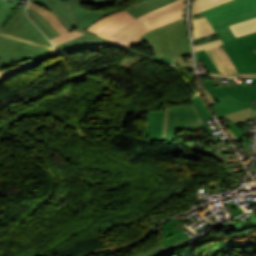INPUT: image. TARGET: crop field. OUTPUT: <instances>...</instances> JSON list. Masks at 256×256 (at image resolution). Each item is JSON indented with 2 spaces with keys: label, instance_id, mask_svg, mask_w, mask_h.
Returning a JSON list of instances; mask_svg holds the SVG:
<instances>
[{
  "label": "crop field",
  "instance_id": "obj_1",
  "mask_svg": "<svg viewBox=\"0 0 256 256\" xmlns=\"http://www.w3.org/2000/svg\"><path fill=\"white\" fill-rule=\"evenodd\" d=\"M26 4L27 1L0 33V67L56 51L26 16Z\"/></svg>",
  "mask_w": 256,
  "mask_h": 256
},
{
  "label": "crop field",
  "instance_id": "obj_2",
  "mask_svg": "<svg viewBox=\"0 0 256 256\" xmlns=\"http://www.w3.org/2000/svg\"><path fill=\"white\" fill-rule=\"evenodd\" d=\"M56 15L70 31L77 29L89 33L85 29L107 15L123 10L117 8L104 11H88L81 7V3L104 5L114 0H32ZM67 4V6H65ZM66 28V29H67Z\"/></svg>",
  "mask_w": 256,
  "mask_h": 256
},
{
  "label": "crop field",
  "instance_id": "obj_3",
  "mask_svg": "<svg viewBox=\"0 0 256 256\" xmlns=\"http://www.w3.org/2000/svg\"><path fill=\"white\" fill-rule=\"evenodd\" d=\"M152 48L154 55L173 58L191 53L184 18L140 36Z\"/></svg>",
  "mask_w": 256,
  "mask_h": 256
},
{
  "label": "crop field",
  "instance_id": "obj_4",
  "mask_svg": "<svg viewBox=\"0 0 256 256\" xmlns=\"http://www.w3.org/2000/svg\"><path fill=\"white\" fill-rule=\"evenodd\" d=\"M202 13L225 44L236 40L229 25L256 18V0H240L219 8L215 6Z\"/></svg>",
  "mask_w": 256,
  "mask_h": 256
},
{
  "label": "crop field",
  "instance_id": "obj_5",
  "mask_svg": "<svg viewBox=\"0 0 256 256\" xmlns=\"http://www.w3.org/2000/svg\"><path fill=\"white\" fill-rule=\"evenodd\" d=\"M232 59L238 73L256 72V33L238 37V40L222 45Z\"/></svg>",
  "mask_w": 256,
  "mask_h": 256
},
{
  "label": "crop field",
  "instance_id": "obj_6",
  "mask_svg": "<svg viewBox=\"0 0 256 256\" xmlns=\"http://www.w3.org/2000/svg\"><path fill=\"white\" fill-rule=\"evenodd\" d=\"M205 124L194 104L169 108L166 140H176L177 130H196Z\"/></svg>",
  "mask_w": 256,
  "mask_h": 256
},
{
  "label": "crop field",
  "instance_id": "obj_7",
  "mask_svg": "<svg viewBox=\"0 0 256 256\" xmlns=\"http://www.w3.org/2000/svg\"><path fill=\"white\" fill-rule=\"evenodd\" d=\"M185 0H177L142 17L149 21V26L154 29L184 17L183 5Z\"/></svg>",
  "mask_w": 256,
  "mask_h": 256
},
{
  "label": "crop field",
  "instance_id": "obj_8",
  "mask_svg": "<svg viewBox=\"0 0 256 256\" xmlns=\"http://www.w3.org/2000/svg\"><path fill=\"white\" fill-rule=\"evenodd\" d=\"M133 19L135 18L123 10L101 19L90 26L87 30L106 39Z\"/></svg>",
  "mask_w": 256,
  "mask_h": 256
},
{
  "label": "crop field",
  "instance_id": "obj_9",
  "mask_svg": "<svg viewBox=\"0 0 256 256\" xmlns=\"http://www.w3.org/2000/svg\"><path fill=\"white\" fill-rule=\"evenodd\" d=\"M252 79L255 86L214 88L211 81L204 82L203 84L216 100L230 94L240 101L251 102L256 100V77Z\"/></svg>",
  "mask_w": 256,
  "mask_h": 256
},
{
  "label": "crop field",
  "instance_id": "obj_10",
  "mask_svg": "<svg viewBox=\"0 0 256 256\" xmlns=\"http://www.w3.org/2000/svg\"><path fill=\"white\" fill-rule=\"evenodd\" d=\"M147 22L142 17H139L128 25L117 31L115 34L110 36L107 40H110L122 47L129 44L131 41L139 37L140 35L148 32L151 28L147 25Z\"/></svg>",
  "mask_w": 256,
  "mask_h": 256
},
{
  "label": "crop field",
  "instance_id": "obj_11",
  "mask_svg": "<svg viewBox=\"0 0 256 256\" xmlns=\"http://www.w3.org/2000/svg\"><path fill=\"white\" fill-rule=\"evenodd\" d=\"M207 53L210 55L221 74H215L220 76H234V77H249L256 76V73L250 74H238L231 59L225 53L221 45L207 49ZM212 74V73H210Z\"/></svg>",
  "mask_w": 256,
  "mask_h": 256
},
{
  "label": "crop field",
  "instance_id": "obj_12",
  "mask_svg": "<svg viewBox=\"0 0 256 256\" xmlns=\"http://www.w3.org/2000/svg\"><path fill=\"white\" fill-rule=\"evenodd\" d=\"M103 45H115L114 43L107 41L99 36L92 33L85 34L76 39L66 41L56 48L60 51L76 50L90 47H98Z\"/></svg>",
  "mask_w": 256,
  "mask_h": 256
},
{
  "label": "crop field",
  "instance_id": "obj_13",
  "mask_svg": "<svg viewBox=\"0 0 256 256\" xmlns=\"http://www.w3.org/2000/svg\"><path fill=\"white\" fill-rule=\"evenodd\" d=\"M165 111L149 112L146 139L162 141Z\"/></svg>",
  "mask_w": 256,
  "mask_h": 256
},
{
  "label": "crop field",
  "instance_id": "obj_14",
  "mask_svg": "<svg viewBox=\"0 0 256 256\" xmlns=\"http://www.w3.org/2000/svg\"><path fill=\"white\" fill-rule=\"evenodd\" d=\"M217 102L219 104L211 106L217 116L249 107H252L253 110L256 109V107L250 106V103H242L230 95L217 100Z\"/></svg>",
  "mask_w": 256,
  "mask_h": 256
},
{
  "label": "crop field",
  "instance_id": "obj_15",
  "mask_svg": "<svg viewBox=\"0 0 256 256\" xmlns=\"http://www.w3.org/2000/svg\"><path fill=\"white\" fill-rule=\"evenodd\" d=\"M172 1L175 0H146L144 2H141L135 6H131L126 9L132 16L135 18L141 16L142 14L155 10L159 7H162Z\"/></svg>",
  "mask_w": 256,
  "mask_h": 256
},
{
  "label": "crop field",
  "instance_id": "obj_16",
  "mask_svg": "<svg viewBox=\"0 0 256 256\" xmlns=\"http://www.w3.org/2000/svg\"><path fill=\"white\" fill-rule=\"evenodd\" d=\"M27 14L30 19L48 36L49 39L60 36L39 13L27 8Z\"/></svg>",
  "mask_w": 256,
  "mask_h": 256
},
{
  "label": "crop field",
  "instance_id": "obj_17",
  "mask_svg": "<svg viewBox=\"0 0 256 256\" xmlns=\"http://www.w3.org/2000/svg\"><path fill=\"white\" fill-rule=\"evenodd\" d=\"M28 8L38 11L44 16V18L57 30L61 35L68 32L66 27L63 26L62 22L54 16L50 11L30 1Z\"/></svg>",
  "mask_w": 256,
  "mask_h": 256
},
{
  "label": "crop field",
  "instance_id": "obj_18",
  "mask_svg": "<svg viewBox=\"0 0 256 256\" xmlns=\"http://www.w3.org/2000/svg\"><path fill=\"white\" fill-rule=\"evenodd\" d=\"M189 240H191V239L187 237V238H185L167 248H165L162 244L157 245L151 249H148V250H146L138 255H134V256H169V255L175 253V251L173 249L175 246L185 243Z\"/></svg>",
  "mask_w": 256,
  "mask_h": 256
},
{
  "label": "crop field",
  "instance_id": "obj_19",
  "mask_svg": "<svg viewBox=\"0 0 256 256\" xmlns=\"http://www.w3.org/2000/svg\"><path fill=\"white\" fill-rule=\"evenodd\" d=\"M223 116L227 117L229 120H231L235 124H239L241 122L256 119V111H253L252 108H249V109L229 113L226 115L218 116L217 118L223 117Z\"/></svg>",
  "mask_w": 256,
  "mask_h": 256
},
{
  "label": "crop field",
  "instance_id": "obj_20",
  "mask_svg": "<svg viewBox=\"0 0 256 256\" xmlns=\"http://www.w3.org/2000/svg\"><path fill=\"white\" fill-rule=\"evenodd\" d=\"M177 222H179L178 219L173 218L165 224L163 244H166V243L184 235L183 232H181L180 230L177 229V226H176Z\"/></svg>",
  "mask_w": 256,
  "mask_h": 256
},
{
  "label": "crop field",
  "instance_id": "obj_21",
  "mask_svg": "<svg viewBox=\"0 0 256 256\" xmlns=\"http://www.w3.org/2000/svg\"><path fill=\"white\" fill-rule=\"evenodd\" d=\"M236 37L256 32V19L231 25Z\"/></svg>",
  "mask_w": 256,
  "mask_h": 256
},
{
  "label": "crop field",
  "instance_id": "obj_22",
  "mask_svg": "<svg viewBox=\"0 0 256 256\" xmlns=\"http://www.w3.org/2000/svg\"><path fill=\"white\" fill-rule=\"evenodd\" d=\"M195 38L214 34V30L210 26L206 17L194 20Z\"/></svg>",
  "mask_w": 256,
  "mask_h": 256
},
{
  "label": "crop field",
  "instance_id": "obj_23",
  "mask_svg": "<svg viewBox=\"0 0 256 256\" xmlns=\"http://www.w3.org/2000/svg\"><path fill=\"white\" fill-rule=\"evenodd\" d=\"M38 62L35 60L33 62H29V63H25V64H21L18 66H14L8 69H4L0 71V83L3 82L2 80L5 78H8L12 75H15L19 72H22L26 69H30V68H34L36 66H38Z\"/></svg>",
  "mask_w": 256,
  "mask_h": 256
},
{
  "label": "crop field",
  "instance_id": "obj_24",
  "mask_svg": "<svg viewBox=\"0 0 256 256\" xmlns=\"http://www.w3.org/2000/svg\"><path fill=\"white\" fill-rule=\"evenodd\" d=\"M197 62L203 61L206 67L209 69L210 72L219 73L218 69L216 68L215 64L206 53L205 50L195 52Z\"/></svg>",
  "mask_w": 256,
  "mask_h": 256
},
{
  "label": "crop field",
  "instance_id": "obj_25",
  "mask_svg": "<svg viewBox=\"0 0 256 256\" xmlns=\"http://www.w3.org/2000/svg\"><path fill=\"white\" fill-rule=\"evenodd\" d=\"M230 0H194V13Z\"/></svg>",
  "mask_w": 256,
  "mask_h": 256
},
{
  "label": "crop field",
  "instance_id": "obj_26",
  "mask_svg": "<svg viewBox=\"0 0 256 256\" xmlns=\"http://www.w3.org/2000/svg\"><path fill=\"white\" fill-rule=\"evenodd\" d=\"M19 2V0H12L10 3L7 1L0 0V25L6 19L10 11ZM0 27V31H1Z\"/></svg>",
  "mask_w": 256,
  "mask_h": 256
},
{
  "label": "crop field",
  "instance_id": "obj_27",
  "mask_svg": "<svg viewBox=\"0 0 256 256\" xmlns=\"http://www.w3.org/2000/svg\"><path fill=\"white\" fill-rule=\"evenodd\" d=\"M154 58L161 59V60L167 61V62L172 63V64L179 65V66L187 68V69L194 70L193 62H186L185 55L180 56V57H176V58H173V59H165V58H159V57H154Z\"/></svg>",
  "mask_w": 256,
  "mask_h": 256
},
{
  "label": "crop field",
  "instance_id": "obj_28",
  "mask_svg": "<svg viewBox=\"0 0 256 256\" xmlns=\"http://www.w3.org/2000/svg\"><path fill=\"white\" fill-rule=\"evenodd\" d=\"M252 218L248 219V221L246 222L245 220L240 222V223H236L233 224V227L236 231H241V230H245L251 227L256 226V216L250 212L248 213Z\"/></svg>",
  "mask_w": 256,
  "mask_h": 256
},
{
  "label": "crop field",
  "instance_id": "obj_29",
  "mask_svg": "<svg viewBox=\"0 0 256 256\" xmlns=\"http://www.w3.org/2000/svg\"><path fill=\"white\" fill-rule=\"evenodd\" d=\"M194 104L196 105L198 111L200 112L203 120H209L212 119L210 113L208 112L206 106L204 105L203 101L198 98V96H195L193 99Z\"/></svg>",
  "mask_w": 256,
  "mask_h": 256
},
{
  "label": "crop field",
  "instance_id": "obj_30",
  "mask_svg": "<svg viewBox=\"0 0 256 256\" xmlns=\"http://www.w3.org/2000/svg\"><path fill=\"white\" fill-rule=\"evenodd\" d=\"M82 34H84V33L75 30V31H73V32H71V33H67V34H65V35H63V36H60V37H58V38L51 39L50 41H51L54 45H57V44H60V43H62V42H64V41H66V40L76 38V37H78V36H80V35H82Z\"/></svg>",
  "mask_w": 256,
  "mask_h": 256
},
{
  "label": "crop field",
  "instance_id": "obj_31",
  "mask_svg": "<svg viewBox=\"0 0 256 256\" xmlns=\"http://www.w3.org/2000/svg\"><path fill=\"white\" fill-rule=\"evenodd\" d=\"M219 44H222L220 39L212 41V42H209V43H205V44H201V45H196V46H194V49H195V51H198V50H202V49H207V48L215 47V46H217Z\"/></svg>",
  "mask_w": 256,
  "mask_h": 256
},
{
  "label": "crop field",
  "instance_id": "obj_32",
  "mask_svg": "<svg viewBox=\"0 0 256 256\" xmlns=\"http://www.w3.org/2000/svg\"><path fill=\"white\" fill-rule=\"evenodd\" d=\"M230 130L237 136L238 139L244 138L240 133H243L235 124L232 122L226 123Z\"/></svg>",
  "mask_w": 256,
  "mask_h": 256
},
{
  "label": "crop field",
  "instance_id": "obj_33",
  "mask_svg": "<svg viewBox=\"0 0 256 256\" xmlns=\"http://www.w3.org/2000/svg\"><path fill=\"white\" fill-rule=\"evenodd\" d=\"M226 208L231 212L230 217L244 213L235 203Z\"/></svg>",
  "mask_w": 256,
  "mask_h": 256
},
{
  "label": "crop field",
  "instance_id": "obj_34",
  "mask_svg": "<svg viewBox=\"0 0 256 256\" xmlns=\"http://www.w3.org/2000/svg\"><path fill=\"white\" fill-rule=\"evenodd\" d=\"M255 231H256V229H255V230H252V231H250V232L238 233V234L230 235V236H227V237L243 239V238H245V237L251 235V234L254 233ZM227 237H224V238H221V239L223 240V239H225V238H227Z\"/></svg>",
  "mask_w": 256,
  "mask_h": 256
},
{
  "label": "crop field",
  "instance_id": "obj_35",
  "mask_svg": "<svg viewBox=\"0 0 256 256\" xmlns=\"http://www.w3.org/2000/svg\"><path fill=\"white\" fill-rule=\"evenodd\" d=\"M199 75V74H198ZM199 79H200V77H199ZM200 84H201V86H202V88H203V91H204V93H205V95H206V98L208 99V102L210 103V105H213V104H217V102L215 101V99L208 93V91L205 89V87L202 85V81H201V79H200Z\"/></svg>",
  "mask_w": 256,
  "mask_h": 256
},
{
  "label": "crop field",
  "instance_id": "obj_36",
  "mask_svg": "<svg viewBox=\"0 0 256 256\" xmlns=\"http://www.w3.org/2000/svg\"><path fill=\"white\" fill-rule=\"evenodd\" d=\"M223 126H224L226 132L228 133V135H229L231 141L238 140V139L235 137V135L228 129V127H227L225 124H223Z\"/></svg>",
  "mask_w": 256,
  "mask_h": 256
},
{
  "label": "crop field",
  "instance_id": "obj_37",
  "mask_svg": "<svg viewBox=\"0 0 256 256\" xmlns=\"http://www.w3.org/2000/svg\"><path fill=\"white\" fill-rule=\"evenodd\" d=\"M140 40H142L140 37L139 38H137L136 40H134L132 43H130L129 45H127L126 47H124V48H130L131 46H133L134 44H136L137 42H139Z\"/></svg>",
  "mask_w": 256,
  "mask_h": 256
},
{
  "label": "crop field",
  "instance_id": "obj_38",
  "mask_svg": "<svg viewBox=\"0 0 256 256\" xmlns=\"http://www.w3.org/2000/svg\"><path fill=\"white\" fill-rule=\"evenodd\" d=\"M167 114H168V108H166V120H167ZM166 120H165V129H164V137H163V141H164V139H165Z\"/></svg>",
  "mask_w": 256,
  "mask_h": 256
},
{
  "label": "crop field",
  "instance_id": "obj_39",
  "mask_svg": "<svg viewBox=\"0 0 256 256\" xmlns=\"http://www.w3.org/2000/svg\"><path fill=\"white\" fill-rule=\"evenodd\" d=\"M184 237H186V235H184V236H182V237H180V238H178V239H176V240H174V241H172V242H170V243H168V244H166L164 246L166 247V246H168V245H170V244H172V243H174V242H176V241H178V240H180V239H182Z\"/></svg>",
  "mask_w": 256,
  "mask_h": 256
},
{
  "label": "crop field",
  "instance_id": "obj_40",
  "mask_svg": "<svg viewBox=\"0 0 256 256\" xmlns=\"http://www.w3.org/2000/svg\"><path fill=\"white\" fill-rule=\"evenodd\" d=\"M142 43H144V41H143V40H142V41H140L139 43H137L136 45H134L133 47H131V48H130V50H131V49H133L134 47H136V46H138V45L142 44Z\"/></svg>",
  "mask_w": 256,
  "mask_h": 256
},
{
  "label": "crop field",
  "instance_id": "obj_41",
  "mask_svg": "<svg viewBox=\"0 0 256 256\" xmlns=\"http://www.w3.org/2000/svg\"><path fill=\"white\" fill-rule=\"evenodd\" d=\"M234 1H237V0H233V1H230V2H227V3H224V4H221V5H218V7H219V6H222V5H226V4L232 3V2H234Z\"/></svg>",
  "mask_w": 256,
  "mask_h": 256
},
{
  "label": "crop field",
  "instance_id": "obj_42",
  "mask_svg": "<svg viewBox=\"0 0 256 256\" xmlns=\"http://www.w3.org/2000/svg\"><path fill=\"white\" fill-rule=\"evenodd\" d=\"M177 226H178V228H179V227H181V226H183V225H182L181 222H180V223L177 224Z\"/></svg>",
  "mask_w": 256,
  "mask_h": 256
},
{
  "label": "crop field",
  "instance_id": "obj_43",
  "mask_svg": "<svg viewBox=\"0 0 256 256\" xmlns=\"http://www.w3.org/2000/svg\"><path fill=\"white\" fill-rule=\"evenodd\" d=\"M254 52H256V50Z\"/></svg>",
  "mask_w": 256,
  "mask_h": 256
}]
</instances>
